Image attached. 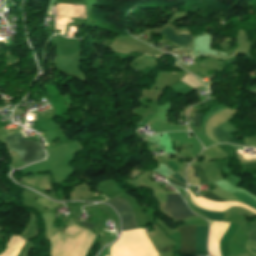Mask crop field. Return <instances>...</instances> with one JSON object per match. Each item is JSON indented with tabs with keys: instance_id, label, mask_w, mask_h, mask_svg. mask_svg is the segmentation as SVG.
<instances>
[{
	"instance_id": "crop-field-1",
	"label": "crop field",
	"mask_w": 256,
	"mask_h": 256,
	"mask_svg": "<svg viewBox=\"0 0 256 256\" xmlns=\"http://www.w3.org/2000/svg\"><path fill=\"white\" fill-rule=\"evenodd\" d=\"M6 143L10 151H16L24 164L45 157L40 141L24 140L21 133L6 136Z\"/></svg>"
},
{
	"instance_id": "crop-field-2",
	"label": "crop field",
	"mask_w": 256,
	"mask_h": 256,
	"mask_svg": "<svg viewBox=\"0 0 256 256\" xmlns=\"http://www.w3.org/2000/svg\"><path fill=\"white\" fill-rule=\"evenodd\" d=\"M225 109H227V108L224 106H216V107L211 108L209 110V112L207 114H205L204 120H203V134L205 137H207L205 134V124H206L207 120ZM234 131H236V129L230 124L229 121H227L214 130V136L217 138V140L220 143L227 142V143H231V144H235V145H239V146H245V145L237 143L236 141H234L233 139H231L229 137V134ZM209 141H211V140L209 139ZM245 147H247V146H245Z\"/></svg>"
},
{
	"instance_id": "crop-field-3",
	"label": "crop field",
	"mask_w": 256,
	"mask_h": 256,
	"mask_svg": "<svg viewBox=\"0 0 256 256\" xmlns=\"http://www.w3.org/2000/svg\"><path fill=\"white\" fill-rule=\"evenodd\" d=\"M111 203L122 215L123 218V230L139 228L135 222L134 211L129 202L115 198L112 200H106Z\"/></svg>"
},
{
	"instance_id": "crop-field-4",
	"label": "crop field",
	"mask_w": 256,
	"mask_h": 256,
	"mask_svg": "<svg viewBox=\"0 0 256 256\" xmlns=\"http://www.w3.org/2000/svg\"><path fill=\"white\" fill-rule=\"evenodd\" d=\"M167 205H169L172 209L178 212L184 218H187L191 215H194L192 212L189 211L186 204L182 201L179 195H167ZM165 205V211L171 214L176 221L183 219L178 213L172 210L169 206Z\"/></svg>"
},
{
	"instance_id": "crop-field-5",
	"label": "crop field",
	"mask_w": 256,
	"mask_h": 256,
	"mask_svg": "<svg viewBox=\"0 0 256 256\" xmlns=\"http://www.w3.org/2000/svg\"><path fill=\"white\" fill-rule=\"evenodd\" d=\"M177 229L181 234V254H194V226Z\"/></svg>"
},
{
	"instance_id": "crop-field-6",
	"label": "crop field",
	"mask_w": 256,
	"mask_h": 256,
	"mask_svg": "<svg viewBox=\"0 0 256 256\" xmlns=\"http://www.w3.org/2000/svg\"><path fill=\"white\" fill-rule=\"evenodd\" d=\"M161 32L168 35L169 37H167V39L173 41L174 43H176V45H186V46H188V44L192 40L191 35H188L189 33L188 34L181 33L180 36H177V35H174L173 30H171L167 27L164 30H162Z\"/></svg>"
},
{
	"instance_id": "crop-field-7",
	"label": "crop field",
	"mask_w": 256,
	"mask_h": 256,
	"mask_svg": "<svg viewBox=\"0 0 256 256\" xmlns=\"http://www.w3.org/2000/svg\"><path fill=\"white\" fill-rule=\"evenodd\" d=\"M195 172L200 176V181L201 183H207L208 181L206 180L205 173L201 169L200 165L194 166Z\"/></svg>"
},
{
	"instance_id": "crop-field-8",
	"label": "crop field",
	"mask_w": 256,
	"mask_h": 256,
	"mask_svg": "<svg viewBox=\"0 0 256 256\" xmlns=\"http://www.w3.org/2000/svg\"><path fill=\"white\" fill-rule=\"evenodd\" d=\"M203 113H195L194 114V126L201 125V120L203 118Z\"/></svg>"
},
{
	"instance_id": "crop-field-9",
	"label": "crop field",
	"mask_w": 256,
	"mask_h": 256,
	"mask_svg": "<svg viewBox=\"0 0 256 256\" xmlns=\"http://www.w3.org/2000/svg\"><path fill=\"white\" fill-rule=\"evenodd\" d=\"M203 197L211 199L213 201H219V202H223V200L217 198L216 196H214L211 192H208L206 194L203 195Z\"/></svg>"
},
{
	"instance_id": "crop-field-10",
	"label": "crop field",
	"mask_w": 256,
	"mask_h": 256,
	"mask_svg": "<svg viewBox=\"0 0 256 256\" xmlns=\"http://www.w3.org/2000/svg\"><path fill=\"white\" fill-rule=\"evenodd\" d=\"M172 178L175 180H178L184 184L186 183L185 180L181 177V175L178 172L176 174L172 175Z\"/></svg>"
},
{
	"instance_id": "crop-field-11",
	"label": "crop field",
	"mask_w": 256,
	"mask_h": 256,
	"mask_svg": "<svg viewBox=\"0 0 256 256\" xmlns=\"http://www.w3.org/2000/svg\"><path fill=\"white\" fill-rule=\"evenodd\" d=\"M78 224H80V225H82V226H84V227H86V228H88V229H93V227H94V223H88V222H80V223H78Z\"/></svg>"
},
{
	"instance_id": "crop-field-12",
	"label": "crop field",
	"mask_w": 256,
	"mask_h": 256,
	"mask_svg": "<svg viewBox=\"0 0 256 256\" xmlns=\"http://www.w3.org/2000/svg\"><path fill=\"white\" fill-rule=\"evenodd\" d=\"M250 239L256 240V231H250Z\"/></svg>"
},
{
	"instance_id": "crop-field-13",
	"label": "crop field",
	"mask_w": 256,
	"mask_h": 256,
	"mask_svg": "<svg viewBox=\"0 0 256 256\" xmlns=\"http://www.w3.org/2000/svg\"><path fill=\"white\" fill-rule=\"evenodd\" d=\"M171 183H173V184H175V185H178V186L184 187L183 185H181V184H179V183H177V182H175V181H173V180H171Z\"/></svg>"
},
{
	"instance_id": "crop-field-14",
	"label": "crop field",
	"mask_w": 256,
	"mask_h": 256,
	"mask_svg": "<svg viewBox=\"0 0 256 256\" xmlns=\"http://www.w3.org/2000/svg\"><path fill=\"white\" fill-rule=\"evenodd\" d=\"M233 148H237V149H244V148H241V147H235V146H233Z\"/></svg>"
},
{
	"instance_id": "crop-field-15",
	"label": "crop field",
	"mask_w": 256,
	"mask_h": 256,
	"mask_svg": "<svg viewBox=\"0 0 256 256\" xmlns=\"http://www.w3.org/2000/svg\"><path fill=\"white\" fill-rule=\"evenodd\" d=\"M244 208V207H243ZM250 211V210H249ZM252 212V211H251Z\"/></svg>"
},
{
	"instance_id": "crop-field-16",
	"label": "crop field",
	"mask_w": 256,
	"mask_h": 256,
	"mask_svg": "<svg viewBox=\"0 0 256 256\" xmlns=\"http://www.w3.org/2000/svg\"><path fill=\"white\" fill-rule=\"evenodd\" d=\"M188 127V126H187ZM189 129V128H188Z\"/></svg>"
}]
</instances>
